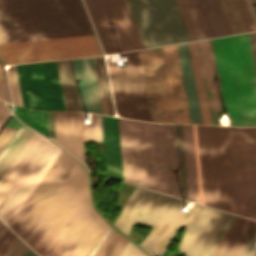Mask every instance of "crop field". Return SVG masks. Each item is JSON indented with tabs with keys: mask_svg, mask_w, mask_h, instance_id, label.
Wrapping results in <instances>:
<instances>
[{
	"mask_svg": "<svg viewBox=\"0 0 256 256\" xmlns=\"http://www.w3.org/2000/svg\"><path fill=\"white\" fill-rule=\"evenodd\" d=\"M103 55L95 35L0 45L4 64Z\"/></svg>",
	"mask_w": 256,
	"mask_h": 256,
	"instance_id": "obj_11",
	"label": "crop field"
},
{
	"mask_svg": "<svg viewBox=\"0 0 256 256\" xmlns=\"http://www.w3.org/2000/svg\"><path fill=\"white\" fill-rule=\"evenodd\" d=\"M7 77L13 104L23 107L15 65L8 68Z\"/></svg>",
	"mask_w": 256,
	"mask_h": 256,
	"instance_id": "obj_34",
	"label": "crop field"
},
{
	"mask_svg": "<svg viewBox=\"0 0 256 256\" xmlns=\"http://www.w3.org/2000/svg\"><path fill=\"white\" fill-rule=\"evenodd\" d=\"M6 225H4L1 221H0V236L3 233V231L6 229Z\"/></svg>",
	"mask_w": 256,
	"mask_h": 256,
	"instance_id": "obj_50",
	"label": "crop field"
},
{
	"mask_svg": "<svg viewBox=\"0 0 256 256\" xmlns=\"http://www.w3.org/2000/svg\"><path fill=\"white\" fill-rule=\"evenodd\" d=\"M72 61L82 111L103 114L92 57Z\"/></svg>",
	"mask_w": 256,
	"mask_h": 256,
	"instance_id": "obj_20",
	"label": "crop field"
},
{
	"mask_svg": "<svg viewBox=\"0 0 256 256\" xmlns=\"http://www.w3.org/2000/svg\"><path fill=\"white\" fill-rule=\"evenodd\" d=\"M16 67L24 107L64 110L55 61Z\"/></svg>",
	"mask_w": 256,
	"mask_h": 256,
	"instance_id": "obj_12",
	"label": "crop field"
},
{
	"mask_svg": "<svg viewBox=\"0 0 256 256\" xmlns=\"http://www.w3.org/2000/svg\"><path fill=\"white\" fill-rule=\"evenodd\" d=\"M124 181L160 191L153 123L118 118Z\"/></svg>",
	"mask_w": 256,
	"mask_h": 256,
	"instance_id": "obj_7",
	"label": "crop field"
},
{
	"mask_svg": "<svg viewBox=\"0 0 256 256\" xmlns=\"http://www.w3.org/2000/svg\"><path fill=\"white\" fill-rule=\"evenodd\" d=\"M170 198L136 187L113 224L126 234L135 222L154 226L140 245L153 256H159L171 237L187 223L177 250L185 256H200L228 213L195 204L190 212L184 214L163 207ZM186 203L172 197L166 207L182 210Z\"/></svg>",
	"mask_w": 256,
	"mask_h": 256,
	"instance_id": "obj_2",
	"label": "crop field"
},
{
	"mask_svg": "<svg viewBox=\"0 0 256 256\" xmlns=\"http://www.w3.org/2000/svg\"><path fill=\"white\" fill-rule=\"evenodd\" d=\"M90 195H89V190L86 191V193L83 195V197L81 198V200L78 202V204L76 205V207L73 209V211L71 212V214L69 215V217L66 219V221L64 222V224L61 226V228L59 229V231L57 232V234L54 236V238L52 239V241L49 243V245L47 246V248L45 249V251L42 253L41 256H49V254L51 253V251L54 249V247L56 246V244L59 242V240L61 239V237L64 235V233L66 232V230L69 228V226L71 225V223L74 221V219L76 218V216L79 214V212L81 211V209L84 207V205L86 204V202L89 200Z\"/></svg>",
	"mask_w": 256,
	"mask_h": 256,
	"instance_id": "obj_30",
	"label": "crop field"
},
{
	"mask_svg": "<svg viewBox=\"0 0 256 256\" xmlns=\"http://www.w3.org/2000/svg\"><path fill=\"white\" fill-rule=\"evenodd\" d=\"M56 141L85 163L79 112L53 111Z\"/></svg>",
	"mask_w": 256,
	"mask_h": 256,
	"instance_id": "obj_21",
	"label": "crop field"
},
{
	"mask_svg": "<svg viewBox=\"0 0 256 256\" xmlns=\"http://www.w3.org/2000/svg\"><path fill=\"white\" fill-rule=\"evenodd\" d=\"M102 127L107 176L123 181L117 118L102 115Z\"/></svg>",
	"mask_w": 256,
	"mask_h": 256,
	"instance_id": "obj_22",
	"label": "crop field"
},
{
	"mask_svg": "<svg viewBox=\"0 0 256 256\" xmlns=\"http://www.w3.org/2000/svg\"><path fill=\"white\" fill-rule=\"evenodd\" d=\"M14 234L11 232V230L7 227V229L4 231L2 236L0 237V256L4 252V250L7 248L11 240L14 238Z\"/></svg>",
	"mask_w": 256,
	"mask_h": 256,
	"instance_id": "obj_42",
	"label": "crop field"
},
{
	"mask_svg": "<svg viewBox=\"0 0 256 256\" xmlns=\"http://www.w3.org/2000/svg\"><path fill=\"white\" fill-rule=\"evenodd\" d=\"M74 159L62 151L45 177L10 224V228L22 239L77 165Z\"/></svg>",
	"mask_w": 256,
	"mask_h": 256,
	"instance_id": "obj_14",
	"label": "crop field"
},
{
	"mask_svg": "<svg viewBox=\"0 0 256 256\" xmlns=\"http://www.w3.org/2000/svg\"><path fill=\"white\" fill-rule=\"evenodd\" d=\"M146 47L190 40L174 0H127Z\"/></svg>",
	"mask_w": 256,
	"mask_h": 256,
	"instance_id": "obj_8",
	"label": "crop field"
},
{
	"mask_svg": "<svg viewBox=\"0 0 256 256\" xmlns=\"http://www.w3.org/2000/svg\"><path fill=\"white\" fill-rule=\"evenodd\" d=\"M212 41L225 111L230 113L232 125H256V73L248 33Z\"/></svg>",
	"mask_w": 256,
	"mask_h": 256,
	"instance_id": "obj_4",
	"label": "crop field"
},
{
	"mask_svg": "<svg viewBox=\"0 0 256 256\" xmlns=\"http://www.w3.org/2000/svg\"><path fill=\"white\" fill-rule=\"evenodd\" d=\"M106 53L138 48L118 0H84Z\"/></svg>",
	"mask_w": 256,
	"mask_h": 256,
	"instance_id": "obj_13",
	"label": "crop field"
},
{
	"mask_svg": "<svg viewBox=\"0 0 256 256\" xmlns=\"http://www.w3.org/2000/svg\"><path fill=\"white\" fill-rule=\"evenodd\" d=\"M192 129H193V139H194V149H195V159H196V169H197V179H198V189H199V199H200V203L203 204L196 125H192Z\"/></svg>",
	"mask_w": 256,
	"mask_h": 256,
	"instance_id": "obj_37",
	"label": "crop field"
},
{
	"mask_svg": "<svg viewBox=\"0 0 256 256\" xmlns=\"http://www.w3.org/2000/svg\"><path fill=\"white\" fill-rule=\"evenodd\" d=\"M66 110L81 111L71 61H57Z\"/></svg>",
	"mask_w": 256,
	"mask_h": 256,
	"instance_id": "obj_24",
	"label": "crop field"
},
{
	"mask_svg": "<svg viewBox=\"0 0 256 256\" xmlns=\"http://www.w3.org/2000/svg\"><path fill=\"white\" fill-rule=\"evenodd\" d=\"M128 65L109 63L108 72L117 114L152 121L138 51L121 53Z\"/></svg>",
	"mask_w": 256,
	"mask_h": 256,
	"instance_id": "obj_10",
	"label": "crop field"
},
{
	"mask_svg": "<svg viewBox=\"0 0 256 256\" xmlns=\"http://www.w3.org/2000/svg\"><path fill=\"white\" fill-rule=\"evenodd\" d=\"M10 111L4 106V102L0 100V126L9 115Z\"/></svg>",
	"mask_w": 256,
	"mask_h": 256,
	"instance_id": "obj_47",
	"label": "crop field"
},
{
	"mask_svg": "<svg viewBox=\"0 0 256 256\" xmlns=\"http://www.w3.org/2000/svg\"><path fill=\"white\" fill-rule=\"evenodd\" d=\"M24 125L21 124V126L19 127L18 131L15 133V135L12 137V139L10 140V142L7 144V146L5 147V149L2 151V153L0 154V161L1 159L4 157V155L6 154V152L9 150V148L11 147V145L14 143V141L16 140V138L19 136V134L21 133V131L24 129Z\"/></svg>",
	"mask_w": 256,
	"mask_h": 256,
	"instance_id": "obj_45",
	"label": "crop field"
},
{
	"mask_svg": "<svg viewBox=\"0 0 256 256\" xmlns=\"http://www.w3.org/2000/svg\"><path fill=\"white\" fill-rule=\"evenodd\" d=\"M16 114L24 122L49 136L47 111H30L16 107Z\"/></svg>",
	"mask_w": 256,
	"mask_h": 256,
	"instance_id": "obj_29",
	"label": "crop field"
},
{
	"mask_svg": "<svg viewBox=\"0 0 256 256\" xmlns=\"http://www.w3.org/2000/svg\"><path fill=\"white\" fill-rule=\"evenodd\" d=\"M107 227L89 200L50 256H87Z\"/></svg>",
	"mask_w": 256,
	"mask_h": 256,
	"instance_id": "obj_15",
	"label": "crop field"
},
{
	"mask_svg": "<svg viewBox=\"0 0 256 256\" xmlns=\"http://www.w3.org/2000/svg\"><path fill=\"white\" fill-rule=\"evenodd\" d=\"M256 68V32L249 33Z\"/></svg>",
	"mask_w": 256,
	"mask_h": 256,
	"instance_id": "obj_48",
	"label": "crop field"
},
{
	"mask_svg": "<svg viewBox=\"0 0 256 256\" xmlns=\"http://www.w3.org/2000/svg\"><path fill=\"white\" fill-rule=\"evenodd\" d=\"M61 149L34 132L0 181V219L7 225L20 210Z\"/></svg>",
	"mask_w": 256,
	"mask_h": 256,
	"instance_id": "obj_6",
	"label": "crop field"
},
{
	"mask_svg": "<svg viewBox=\"0 0 256 256\" xmlns=\"http://www.w3.org/2000/svg\"><path fill=\"white\" fill-rule=\"evenodd\" d=\"M154 128L161 191L181 198L174 124Z\"/></svg>",
	"mask_w": 256,
	"mask_h": 256,
	"instance_id": "obj_18",
	"label": "crop field"
},
{
	"mask_svg": "<svg viewBox=\"0 0 256 256\" xmlns=\"http://www.w3.org/2000/svg\"><path fill=\"white\" fill-rule=\"evenodd\" d=\"M119 1H120L121 5H122V8H123V10H124V13H125V15H126V18H127V20H128V23H129L130 28H131V30H132V33H133V35H134V37H135V40H136V42H137L138 47H139V48L144 47L143 44H142V41H141V39H140V36H139V34H138V31H137V29H136L135 23H134V21H133V18H132V16H131V13H130V11H129V8H128V6H127L126 1H125V0H119Z\"/></svg>",
	"mask_w": 256,
	"mask_h": 256,
	"instance_id": "obj_38",
	"label": "crop field"
},
{
	"mask_svg": "<svg viewBox=\"0 0 256 256\" xmlns=\"http://www.w3.org/2000/svg\"><path fill=\"white\" fill-rule=\"evenodd\" d=\"M182 198L188 200L181 125L175 124Z\"/></svg>",
	"mask_w": 256,
	"mask_h": 256,
	"instance_id": "obj_32",
	"label": "crop field"
},
{
	"mask_svg": "<svg viewBox=\"0 0 256 256\" xmlns=\"http://www.w3.org/2000/svg\"><path fill=\"white\" fill-rule=\"evenodd\" d=\"M139 53L153 121L191 123L176 45Z\"/></svg>",
	"mask_w": 256,
	"mask_h": 256,
	"instance_id": "obj_5",
	"label": "crop field"
},
{
	"mask_svg": "<svg viewBox=\"0 0 256 256\" xmlns=\"http://www.w3.org/2000/svg\"><path fill=\"white\" fill-rule=\"evenodd\" d=\"M189 200L198 202V189L191 125H182Z\"/></svg>",
	"mask_w": 256,
	"mask_h": 256,
	"instance_id": "obj_25",
	"label": "crop field"
},
{
	"mask_svg": "<svg viewBox=\"0 0 256 256\" xmlns=\"http://www.w3.org/2000/svg\"><path fill=\"white\" fill-rule=\"evenodd\" d=\"M256 230V221L237 216L211 256H238Z\"/></svg>",
	"mask_w": 256,
	"mask_h": 256,
	"instance_id": "obj_23",
	"label": "crop field"
},
{
	"mask_svg": "<svg viewBox=\"0 0 256 256\" xmlns=\"http://www.w3.org/2000/svg\"><path fill=\"white\" fill-rule=\"evenodd\" d=\"M24 256H37L30 248Z\"/></svg>",
	"mask_w": 256,
	"mask_h": 256,
	"instance_id": "obj_49",
	"label": "crop field"
},
{
	"mask_svg": "<svg viewBox=\"0 0 256 256\" xmlns=\"http://www.w3.org/2000/svg\"><path fill=\"white\" fill-rule=\"evenodd\" d=\"M240 13L248 31L256 30L244 0H236Z\"/></svg>",
	"mask_w": 256,
	"mask_h": 256,
	"instance_id": "obj_40",
	"label": "crop field"
},
{
	"mask_svg": "<svg viewBox=\"0 0 256 256\" xmlns=\"http://www.w3.org/2000/svg\"><path fill=\"white\" fill-rule=\"evenodd\" d=\"M251 243L256 244V232L254 233V235L252 236V238L250 239V241L248 242V244L246 245V247L243 249L239 256H256V250L249 249Z\"/></svg>",
	"mask_w": 256,
	"mask_h": 256,
	"instance_id": "obj_44",
	"label": "crop field"
},
{
	"mask_svg": "<svg viewBox=\"0 0 256 256\" xmlns=\"http://www.w3.org/2000/svg\"><path fill=\"white\" fill-rule=\"evenodd\" d=\"M235 218H236L235 215L229 214V216L227 217L225 222L222 224V226L220 227V229L218 230V232L216 233L214 238L211 240V242L209 243V245L207 246V248L205 249V251L201 256L211 255V253L213 252V250L215 249L219 241L222 239V237L224 236V234L226 233V231L228 230V228L230 227V225L232 224Z\"/></svg>",
	"mask_w": 256,
	"mask_h": 256,
	"instance_id": "obj_35",
	"label": "crop field"
},
{
	"mask_svg": "<svg viewBox=\"0 0 256 256\" xmlns=\"http://www.w3.org/2000/svg\"><path fill=\"white\" fill-rule=\"evenodd\" d=\"M17 128L6 125L0 133V152L3 150L5 145L8 143L12 135L15 133Z\"/></svg>",
	"mask_w": 256,
	"mask_h": 256,
	"instance_id": "obj_41",
	"label": "crop field"
},
{
	"mask_svg": "<svg viewBox=\"0 0 256 256\" xmlns=\"http://www.w3.org/2000/svg\"><path fill=\"white\" fill-rule=\"evenodd\" d=\"M197 130L204 204L256 219V126Z\"/></svg>",
	"mask_w": 256,
	"mask_h": 256,
	"instance_id": "obj_1",
	"label": "crop field"
},
{
	"mask_svg": "<svg viewBox=\"0 0 256 256\" xmlns=\"http://www.w3.org/2000/svg\"><path fill=\"white\" fill-rule=\"evenodd\" d=\"M87 188L86 171L78 163L24 241L41 255Z\"/></svg>",
	"mask_w": 256,
	"mask_h": 256,
	"instance_id": "obj_9",
	"label": "crop field"
},
{
	"mask_svg": "<svg viewBox=\"0 0 256 256\" xmlns=\"http://www.w3.org/2000/svg\"><path fill=\"white\" fill-rule=\"evenodd\" d=\"M188 45H189L192 66H193V71H194V76H195V81H196V86H197V91H198V96H199V101H200L203 122H204V124H211L209 112H208L207 101H206V96H205V91H204V86H203L201 70H200V65H199V60H198L196 44H195V42H191V43H188ZM188 45H187V43H184V44L177 45V47H178V52H179L184 82H185V88H186V94H187V99H188V104H189L191 121H192V123L203 124L200 107H199L197 91H196V86H195V81H194V76H193V71H192V66H191Z\"/></svg>",
	"mask_w": 256,
	"mask_h": 256,
	"instance_id": "obj_17",
	"label": "crop field"
},
{
	"mask_svg": "<svg viewBox=\"0 0 256 256\" xmlns=\"http://www.w3.org/2000/svg\"><path fill=\"white\" fill-rule=\"evenodd\" d=\"M232 34L247 31L235 0H218Z\"/></svg>",
	"mask_w": 256,
	"mask_h": 256,
	"instance_id": "obj_28",
	"label": "crop field"
},
{
	"mask_svg": "<svg viewBox=\"0 0 256 256\" xmlns=\"http://www.w3.org/2000/svg\"><path fill=\"white\" fill-rule=\"evenodd\" d=\"M256 27V0H245Z\"/></svg>",
	"mask_w": 256,
	"mask_h": 256,
	"instance_id": "obj_46",
	"label": "crop field"
},
{
	"mask_svg": "<svg viewBox=\"0 0 256 256\" xmlns=\"http://www.w3.org/2000/svg\"><path fill=\"white\" fill-rule=\"evenodd\" d=\"M0 98L11 103L4 66L0 62Z\"/></svg>",
	"mask_w": 256,
	"mask_h": 256,
	"instance_id": "obj_39",
	"label": "crop field"
},
{
	"mask_svg": "<svg viewBox=\"0 0 256 256\" xmlns=\"http://www.w3.org/2000/svg\"><path fill=\"white\" fill-rule=\"evenodd\" d=\"M95 70L99 85L100 96L106 97L109 115L114 114L112 98L110 93V87L108 82L107 70L105 65V59L103 56L93 57ZM102 107L104 114L108 115L105 98L101 97Z\"/></svg>",
	"mask_w": 256,
	"mask_h": 256,
	"instance_id": "obj_27",
	"label": "crop field"
},
{
	"mask_svg": "<svg viewBox=\"0 0 256 256\" xmlns=\"http://www.w3.org/2000/svg\"><path fill=\"white\" fill-rule=\"evenodd\" d=\"M90 34L81 0H0V43Z\"/></svg>",
	"mask_w": 256,
	"mask_h": 256,
	"instance_id": "obj_3",
	"label": "crop field"
},
{
	"mask_svg": "<svg viewBox=\"0 0 256 256\" xmlns=\"http://www.w3.org/2000/svg\"><path fill=\"white\" fill-rule=\"evenodd\" d=\"M199 60L204 80V86L209 106L212 124L220 125L219 117H223L224 105L212 47V41L203 40L196 42Z\"/></svg>",
	"mask_w": 256,
	"mask_h": 256,
	"instance_id": "obj_19",
	"label": "crop field"
},
{
	"mask_svg": "<svg viewBox=\"0 0 256 256\" xmlns=\"http://www.w3.org/2000/svg\"><path fill=\"white\" fill-rule=\"evenodd\" d=\"M32 130H30L29 128L26 127V129L23 131V133L21 134V136L18 138V140L16 141V143L13 145V147L11 148V150L8 152V154L6 155V157L3 159V161L0 164V179L1 177L4 175V173L6 172V170L9 168V166L11 165V163L13 162V160L16 158V156L18 155V153L21 151V149L23 148V146L26 144V142L28 141V136L31 133ZM33 134V131L31 133V135ZM30 135V136H31ZM29 136V138H30Z\"/></svg>",
	"mask_w": 256,
	"mask_h": 256,
	"instance_id": "obj_31",
	"label": "crop field"
},
{
	"mask_svg": "<svg viewBox=\"0 0 256 256\" xmlns=\"http://www.w3.org/2000/svg\"><path fill=\"white\" fill-rule=\"evenodd\" d=\"M18 238L15 236L2 256H23L25 254L29 247Z\"/></svg>",
	"mask_w": 256,
	"mask_h": 256,
	"instance_id": "obj_36",
	"label": "crop field"
},
{
	"mask_svg": "<svg viewBox=\"0 0 256 256\" xmlns=\"http://www.w3.org/2000/svg\"><path fill=\"white\" fill-rule=\"evenodd\" d=\"M92 116L94 125H82L84 141L102 140L101 115Z\"/></svg>",
	"mask_w": 256,
	"mask_h": 256,
	"instance_id": "obj_33",
	"label": "crop field"
},
{
	"mask_svg": "<svg viewBox=\"0 0 256 256\" xmlns=\"http://www.w3.org/2000/svg\"><path fill=\"white\" fill-rule=\"evenodd\" d=\"M128 241L109 225L88 256H118Z\"/></svg>",
	"mask_w": 256,
	"mask_h": 256,
	"instance_id": "obj_26",
	"label": "crop field"
},
{
	"mask_svg": "<svg viewBox=\"0 0 256 256\" xmlns=\"http://www.w3.org/2000/svg\"><path fill=\"white\" fill-rule=\"evenodd\" d=\"M120 256H147L144 252H142L138 247H136L133 243L129 242L125 249L122 251Z\"/></svg>",
	"mask_w": 256,
	"mask_h": 256,
	"instance_id": "obj_43",
	"label": "crop field"
},
{
	"mask_svg": "<svg viewBox=\"0 0 256 256\" xmlns=\"http://www.w3.org/2000/svg\"><path fill=\"white\" fill-rule=\"evenodd\" d=\"M212 37L231 34L217 0H197ZM196 0H176L192 40L211 37Z\"/></svg>",
	"mask_w": 256,
	"mask_h": 256,
	"instance_id": "obj_16",
	"label": "crop field"
}]
</instances>
